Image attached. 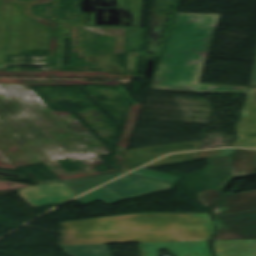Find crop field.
Segmentation results:
<instances>
[{"mask_svg": "<svg viewBox=\"0 0 256 256\" xmlns=\"http://www.w3.org/2000/svg\"><path fill=\"white\" fill-rule=\"evenodd\" d=\"M68 233L59 245L125 244L209 240L208 213L136 214L61 223Z\"/></svg>", "mask_w": 256, "mask_h": 256, "instance_id": "2", "label": "crop field"}, {"mask_svg": "<svg viewBox=\"0 0 256 256\" xmlns=\"http://www.w3.org/2000/svg\"><path fill=\"white\" fill-rule=\"evenodd\" d=\"M102 154L66 117L48 115L18 85L0 84V166L42 161L60 180L100 174ZM81 170L66 173L57 159Z\"/></svg>", "mask_w": 256, "mask_h": 256, "instance_id": "1", "label": "crop field"}, {"mask_svg": "<svg viewBox=\"0 0 256 256\" xmlns=\"http://www.w3.org/2000/svg\"><path fill=\"white\" fill-rule=\"evenodd\" d=\"M256 209V191L226 194L223 193L212 208L214 216Z\"/></svg>", "mask_w": 256, "mask_h": 256, "instance_id": "10", "label": "crop field"}, {"mask_svg": "<svg viewBox=\"0 0 256 256\" xmlns=\"http://www.w3.org/2000/svg\"><path fill=\"white\" fill-rule=\"evenodd\" d=\"M60 248L70 256H111L106 245L60 246Z\"/></svg>", "mask_w": 256, "mask_h": 256, "instance_id": "13", "label": "crop field"}, {"mask_svg": "<svg viewBox=\"0 0 256 256\" xmlns=\"http://www.w3.org/2000/svg\"><path fill=\"white\" fill-rule=\"evenodd\" d=\"M209 241L140 244L141 256H157L159 249H170L175 256H212Z\"/></svg>", "mask_w": 256, "mask_h": 256, "instance_id": "9", "label": "crop field"}, {"mask_svg": "<svg viewBox=\"0 0 256 256\" xmlns=\"http://www.w3.org/2000/svg\"><path fill=\"white\" fill-rule=\"evenodd\" d=\"M131 174H135V175H139V176H143V177H147L155 180L171 182V183H175L179 179V177H174V176H170V175H166V174H162V173H158V172H154L146 169H139Z\"/></svg>", "mask_w": 256, "mask_h": 256, "instance_id": "16", "label": "crop field"}, {"mask_svg": "<svg viewBox=\"0 0 256 256\" xmlns=\"http://www.w3.org/2000/svg\"><path fill=\"white\" fill-rule=\"evenodd\" d=\"M250 86L256 87V60Z\"/></svg>", "mask_w": 256, "mask_h": 256, "instance_id": "19", "label": "crop field"}, {"mask_svg": "<svg viewBox=\"0 0 256 256\" xmlns=\"http://www.w3.org/2000/svg\"><path fill=\"white\" fill-rule=\"evenodd\" d=\"M236 128L240 138L230 146L256 148V89H250L241 120Z\"/></svg>", "mask_w": 256, "mask_h": 256, "instance_id": "8", "label": "crop field"}, {"mask_svg": "<svg viewBox=\"0 0 256 256\" xmlns=\"http://www.w3.org/2000/svg\"><path fill=\"white\" fill-rule=\"evenodd\" d=\"M214 218L219 227L214 240L256 239V210Z\"/></svg>", "mask_w": 256, "mask_h": 256, "instance_id": "4", "label": "crop field"}, {"mask_svg": "<svg viewBox=\"0 0 256 256\" xmlns=\"http://www.w3.org/2000/svg\"><path fill=\"white\" fill-rule=\"evenodd\" d=\"M197 153L198 152H190V153H180V154H176V155L167 156V157L160 159L144 168L192 161V160L196 159Z\"/></svg>", "mask_w": 256, "mask_h": 256, "instance_id": "15", "label": "crop field"}, {"mask_svg": "<svg viewBox=\"0 0 256 256\" xmlns=\"http://www.w3.org/2000/svg\"><path fill=\"white\" fill-rule=\"evenodd\" d=\"M231 165L237 166L238 177L256 172V150L234 149Z\"/></svg>", "mask_w": 256, "mask_h": 256, "instance_id": "11", "label": "crop field"}, {"mask_svg": "<svg viewBox=\"0 0 256 256\" xmlns=\"http://www.w3.org/2000/svg\"><path fill=\"white\" fill-rule=\"evenodd\" d=\"M220 15L178 13L150 89L241 93L249 88L199 83Z\"/></svg>", "mask_w": 256, "mask_h": 256, "instance_id": "3", "label": "crop field"}, {"mask_svg": "<svg viewBox=\"0 0 256 256\" xmlns=\"http://www.w3.org/2000/svg\"><path fill=\"white\" fill-rule=\"evenodd\" d=\"M221 191L217 190H206L204 192H200L198 194V199L202 202L205 206L210 207L216 197L219 195Z\"/></svg>", "mask_w": 256, "mask_h": 256, "instance_id": "17", "label": "crop field"}, {"mask_svg": "<svg viewBox=\"0 0 256 256\" xmlns=\"http://www.w3.org/2000/svg\"><path fill=\"white\" fill-rule=\"evenodd\" d=\"M104 186L119 194L120 196L129 199L145 194L167 190L173 185L139 176L126 175Z\"/></svg>", "mask_w": 256, "mask_h": 256, "instance_id": "5", "label": "crop field"}, {"mask_svg": "<svg viewBox=\"0 0 256 256\" xmlns=\"http://www.w3.org/2000/svg\"><path fill=\"white\" fill-rule=\"evenodd\" d=\"M18 194L31 207L61 203L76 196L62 182L25 188L19 191Z\"/></svg>", "mask_w": 256, "mask_h": 256, "instance_id": "6", "label": "crop field"}, {"mask_svg": "<svg viewBox=\"0 0 256 256\" xmlns=\"http://www.w3.org/2000/svg\"><path fill=\"white\" fill-rule=\"evenodd\" d=\"M200 143L201 141L127 151L120 172H127L169 152L198 149Z\"/></svg>", "mask_w": 256, "mask_h": 256, "instance_id": "7", "label": "crop field"}, {"mask_svg": "<svg viewBox=\"0 0 256 256\" xmlns=\"http://www.w3.org/2000/svg\"><path fill=\"white\" fill-rule=\"evenodd\" d=\"M20 50H34V49H11V50H7L6 55L20 54Z\"/></svg>", "mask_w": 256, "mask_h": 256, "instance_id": "20", "label": "crop field"}, {"mask_svg": "<svg viewBox=\"0 0 256 256\" xmlns=\"http://www.w3.org/2000/svg\"><path fill=\"white\" fill-rule=\"evenodd\" d=\"M232 151H233V149H222V150H213V151H203V152H199V153H198V156H197V159H196V160L232 154Z\"/></svg>", "mask_w": 256, "mask_h": 256, "instance_id": "18", "label": "crop field"}, {"mask_svg": "<svg viewBox=\"0 0 256 256\" xmlns=\"http://www.w3.org/2000/svg\"><path fill=\"white\" fill-rule=\"evenodd\" d=\"M0 83L16 84L14 80H0Z\"/></svg>", "mask_w": 256, "mask_h": 256, "instance_id": "21", "label": "crop field"}, {"mask_svg": "<svg viewBox=\"0 0 256 256\" xmlns=\"http://www.w3.org/2000/svg\"><path fill=\"white\" fill-rule=\"evenodd\" d=\"M233 177H237L236 167L231 166Z\"/></svg>", "mask_w": 256, "mask_h": 256, "instance_id": "22", "label": "crop field"}, {"mask_svg": "<svg viewBox=\"0 0 256 256\" xmlns=\"http://www.w3.org/2000/svg\"><path fill=\"white\" fill-rule=\"evenodd\" d=\"M123 173H116V174H110V175H104V176H98L93 178H87V179H81V180H75V181H69V182H63L73 193L76 195L89 190L97 185H100L112 178H115Z\"/></svg>", "mask_w": 256, "mask_h": 256, "instance_id": "12", "label": "crop field"}, {"mask_svg": "<svg viewBox=\"0 0 256 256\" xmlns=\"http://www.w3.org/2000/svg\"><path fill=\"white\" fill-rule=\"evenodd\" d=\"M76 200L83 202L85 204H88L96 200H102L108 204H111L120 200H124V198L120 197L119 195L102 186Z\"/></svg>", "mask_w": 256, "mask_h": 256, "instance_id": "14", "label": "crop field"}]
</instances>
